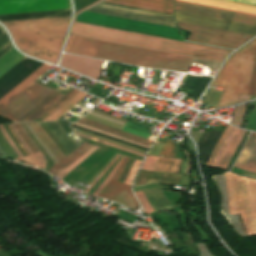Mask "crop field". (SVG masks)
<instances>
[{
    "instance_id": "crop-field-1",
    "label": "crop field",
    "mask_w": 256,
    "mask_h": 256,
    "mask_svg": "<svg viewBox=\"0 0 256 256\" xmlns=\"http://www.w3.org/2000/svg\"><path fill=\"white\" fill-rule=\"evenodd\" d=\"M65 52L126 64L186 72L192 59L146 49L69 36Z\"/></svg>"
},
{
    "instance_id": "crop-field-2",
    "label": "crop field",
    "mask_w": 256,
    "mask_h": 256,
    "mask_svg": "<svg viewBox=\"0 0 256 256\" xmlns=\"http://www.w3.org/2000/svg\"><path fill=\"white\" fill-rule=\"evenodd\" d=\"M76 18V17H75ZM72 35L191 56L222 63L232 51L75 22Z\"/></svg>"
},
{
    "instance_id": "crop-field-3",
    "label": "crop field",
    "mask_w": 256,
    "mask_h": 256,
    "mask_svg": "<svg viewBox=\"0 0 256 256\" xmlns=\"http://www.w3.org/2000/svg\"><path fill=\"white\" fill-rule=\"evenodd\" d=\"M70 17L3 23L22 52L56 64Z\"/></svg>"
},
{
    "instance_id": "crop-field-4",
    "label": "crop field",
    "mask_w": 256,
    "mask_h": 256,
    "mask_svg": "<svg viewBox=\"0 0 256 256\" xmlns=\"http://www.w3.org/2000/svg\"><path fill=\"white\" fill-rule=\"evenodd\" d=\"M256 54V39L234 53L226 62L213 86L224 88L217 108L237 104L239 94L246 95Z\"/></svg>"
},
{
    "instance_id": "crop-field-5",
    "label": "crop field",
    "mask_w": 256,
    "mask_h": 256,
    "mask_svg": "<svg viewBox=\"0 0 256 256\" xmlns=\"http://www.w3.org/2000/svg\"><path fill=\"white\" fill-rule=\"evenodd\" d=\"M230 214L240 213L248 235L256 234V181L227 173Z\"/></svg>"
},
{
    "instance_id": "crop-field-6",
    "label": "crop field",
    "mask_w": 256,
    "mask_h": 256,
    "mask_svg": "<svg viewBox=\"0 0 256 256\" xmlns=\"http://www.w3.org/2000/svg\"><path fill=\"white\" fill-rule=\"evenodd\" d=\"M177 23L181 29L193 32L188 39L189 41L200 42L220 47L236 49L253 37L252 35L229 32L179 22ZM243 35L245 36V38L243 37Z\"/></svg>"
},
{
    "instance_id": "crop-field-7",
    "label": "crop field",
    "mask_w": 256,
    "mask_h": 256,
    "mask_svg": "<svg viewBox=\"0 0 256 256\" xmlns=\"http://www.w3.org/2000/svg\"><path fill=\"white\" fill-rule=\"evenodd\" d=\"M51 92H53V90L34 82L1 108L0 115L16 122Z\"/></svg>"
},
{
    "instance_id": "crop-field-8",
    "label": "crop field",
    "mask_w": 256,
    "mask_h": 256,
    "mask_svg": "<svg viewBox=\"0 0 256 256\" xmlns=\"http://www.w3.org/2000/svg\"><path fill=\"white\" fill-rule=\"evenodd\" d=\"M88 11L99 12L109 15H115L125 18H131L146 22H152L162 25L175 27L174 17L171 15L101 2L98 5L88 9Z\"/></svg>"
},
{
    "instance_id": "crop-field-9",
    "label": "crop field",
    "mask_w": 256,
    "mask_h": 256,
    "mask_svg": "<svg viewBox=\"0 0 256 256\" xmlns=\"http://www.w3.org/2000/svg\"><path fill=\"white\" fill-rule=\"evenodd\" d=\"M126 160H127V157H125V159L119 166L118 170L116 171L112 179L109 181V184L106 187H104V189L99 193L98 197L107 198L109 200L115 201L117 203H120L126 207H129L135 210L138 208V204L130 191L129 185L137 171L140 161H137V160L135 161L134 165L132 166L124 182L125 184H129V185L116 182Z\"/></svg>"
},
{
    "instance_id": "crop-field-10",
    "label": "crop field",
    "mask_w": 256,
    "mask_h": 256,
    "mask_svg": "<svg viewBox=\"0 0 256 256\" xmlns=\"http://www.w3.org/2000/svg\"><path fill=\"white\" fill-rule=\"evenodd\" d=\"M175 10L256 25V16L174 0Z\"/></svg>"
},
{
    "instance_id": "crop-field-11",
    "label": "crop field",
    "mask_w": 256,
    "mask_h": 256,
    "mask_svg": "<svg viewBox=\"0 0 256 256\" xmlns=\"http://www.w3.org/2000/svg\"><path fill=\"white\" fill-rule=\"evenodd\" d=\"M71 8L69 0H0V14Z\"/></svg>"
},
{
    "instance_id": "crop-field-12",
    "label": "crop field",
    "mask_w": 256,
    "mask_h": 256,
    "mask_svg": "<svg viewBox=\"0 0 256 256\" xmlns=\"http://www.w3.org/2000/svg\"><path fill=\"white\" fill-rule=\"evenodd\" d=\"M82 139L92 144H95L100 148H98L95 152H93L88 158H86L81 164H79L74 170H72L66 177L62 179L70 185H74L75 183H77L92 168H94L111 150L142 160V157L109 147L107 145H104L92 140H88L85 138H82Z\"/></svg>"
},
{
    "instance_id": "crop-field-13",
    "label": "crop field",
    "mask_w": 256,
    "mask_h": 256,
    "mask_svg": "<svg viewBox=\"0 0 256 256\" xmlns=\"http://www.w3.org/2000/svg\"><path fill=\"white\" fill-rule=\"evenodd\" d=\"M176 19L179 22H185L190 24L202 25L207 27H213L218 29H224L229 31L241 32L246 34L256 35V27L230 23L210 18H204L189 14H183L176 12Z\"/></svg>"
},
{
    "instance_id": "crop-field-14",
    "label": "crop field",
    "mask_w": 256,
    "mask_h": 256,
    "mask_svg": "<svg viewBox=\"0 0 256 256\" xmlns=\"http://www.w3.org/2000/svg\"><path fill=\"white\" fill-rule=\"evenodd\" d=\"M102 62L101 60L65 54L60 65L98 80Z\"/></svg>"
},
{
    "instance_id": "crop-field-15",
    "label": "crop field",
    "mask_w": 256,
    "mask_h": 256,
    "mask_svg": "<svg viewBox=\"0 0 256 256\" xmlns=\"http://www.w3.org/2000/svg\"><path fill=\"white\" fill-rule=\"evenodd\" d=\"M234 167L256 173V134L251 133L241 150Z\"/></svg>"
},
{
    "instance_id": "crop-field-16",
    "label": "crop field",
    "mask_w": 256,
    "mask_h": 256,
    "mask_svg": "<svg viewBox=\"0 0 256 256\" xmlns=\"http://www.w3.org/2000/svg\"><path fill=\"white\" fill-rule=\"evenodd\" d=\"M105 1L173 14L172 0H105Z\"/></svg>"
},
{
    "instance_id": "crop-field-17",
    "label": "crop field",
    "mask_w": 256,
    "mask_h": 256,
    "mask_svg": "<svg viewBox=\"0 0 256 256\" xmlns=\"http://www.w3.org/2000/svg\"><path fill=\"white\" fill-rule=\"evenodd\" d=\"M14 133L16 134V136L19 138V140L21 141V143L24 145V147L26 148V150L29 152L30 156L28 157H23L22 154L20 153V151L18 150V148L15 146V144L12 142V140L10 139V137L8 136V134L6 133L3 125L0 126V130L3 134V136L5 137V139L7 140V142L10 144V146L15 150V152L17 153L19 160L21 161H25L28 162L30 164L42 167L45 169V159L42 155V153L39 151L35 154H32L31 151L29 150V148L27 147V145L25 144L24 140L22 139V137L20 136V134L18 133L17 129L15 128V126L13 124H10Z\"/></svg>"
},
{
    "instance_id": "crop-field-18",
    "label": "crop field",
    "mask_w": 256,
    "mask_h": 256,
    "mask_svg": "<svg viewBox=\"0 0 256 256\" xmlns=\"http://www.w3.org/2000/svg\"><path fill=\"white\" fill-rule=\"evenodd\" d=\"M71 9L0 15V21L70 16Z\"/></svg>"
},
{
    "instance_id": "crop-field-19",
    "label": "crop field",
    "mask_w": 256,
    "mask_h": 256,
    "mask_svg": "<svg viewBox=\"0 0 256 256\" xmlns=\"http://www.w3.org/2000/svg\"><path fill=\"white\" fill-rule=\"evenodd\" d=\"M50 68L51 66L45 64L40 66L36 71H34L30 76H28L24 81H22L18 86H16L0 100V108L8 103L11 99H13L16 95H18L21 91H23L26 87H28L31 83L37 80L39 75L41 76Z\"/></svg>"
},
{
    "instance_id": "crop-field-20",
    "label": "crop field",
    "mask_w": 256,
    "mask_h": 256,
    "mask_svg": "<svg viewBox=\"0 0 256 256\" xmlns=\"http://www.w3.org/2000/svg\"><path fill=\"white\" fill-rule=\"evenodd\" d=\"M64 95L54 91L42 102H40L36 107H34L30 112L23 116L19 121H34L46 110H48L52 105L59 101Z\"/></svg>"
},
{
    "instance_id": "crop-field-21",
    "label": "crop field",
    "mask_w": 256,
    "mask_h": 256,
    "mask_svg": "<svg viewBox=\"0 0 256 256\" xmlns=\"http://www.w3.org/2000/svg\"><path fill=\"white\" fill-rule=\"evenodd\" d=\"M181 1L192 2V3L256 15V7H250V6L240 5V4H234V3L223 2L218 0H181Z\"/></svg>"
},
{
    "instance_id": "crop-field-22",
    "label": "crop field",
    "mask_w": 256,
    "mask_h": 256,
    "mask_svg": "<svg viewBox=\"0 0 256 256\" xmlns=\"http://www.w3.org/2000/svg\"><path fill=\"white\" fill-rule=\"evenodd\" d=\"M91 147L92 145L84 143L83 145L75 149L72 153L67 155L64 159H62L57 164H55L47 172L56 176L58 173H60L63 169H65L67 166L73 163L76 159H78L83 153H85Z\"/></svg>"
},
{
    "instance_id": "crop-field-23",
    "label": "crop field",
    "mask_w": 256,
    "mask_h": 256,
    "mask_svg": "<svg viewBox=\"0 0 256 256\" xmlns=\"http://www.w3.org/2000/svg\"><path fill=\"white\" fill-rule=\"evenodd\" d=\"M205 135H206V132H204V134L201 137V139L199 140L197 146L199 148L200 155L203 159V162L206 163V161L209 158L210 154L212 153L214 147L216 146L218 140L220 139L222 133L216 132V131L208 132L207 136L205 137L204 141L202 142L201 146L199 147V145Z\"/></svg>"
},
{
    "instance_id": "crop-field-24",
    "label": "crop field",
    "mask_w": 256,
    "mask_h": 256,
    "mask_svg": "<svg viewBox=\"0 0 256 256\" xmlns=\"http://www.w3.org/2000/svg\"><path fill=\"white\" fill-rule=\"evenodd\" d=\"M46 125L69 153L78 147L58 121L47 122Z\"/></svg>"
},
{
    "instance_id": "crop-field-25",
    "label": "crop field",
    "mask_w": 256,
    "mask_h": 256,
    "mask_svg": "<svg viewBox=\"0 0 256 256\" xmlns=\"http://www.w3.org/2000/svg\"><path fill=\"white\" fill-rule=\"evenodd\" d=\"M245 131L238 130L230 141L228 147L226 148L222 158L220 159L217 168L226 170L235 150L237 149Z\"/></svg>"
},
{
    "instance_id": "crop-field-26",
    "label": "crop field",
    "mask_w": 256,
    "mask_h": 256,
    "mask_svg": "<svg viewBox=\"0 0 256 256\" xmlns=\"http://www.w3.org/2000/svg\"><path fill=\"white\" fill-rule=\"evenodd\" d=\"M211 78L207 77H192L188 76L182 87L184 88H189L194 90L191 95L193 96L194 100H197V98L200 96L208 82L210 81Z\"/></svg>"
},
{
    "instance_id": "crop-field-27",
    "label": "crop field",
    "mask_w": 256,
    "mask_h": 256,
    "mask_svg": "<svg viewBox=\"0 0 256 256\" xmlns=\"http://www.w3.org/2000/svg\"><path fill=\"white\" fill-rule=\"evenodd\" d=\"M87 94L79 91L72 98H70L67 102H65L61 107H59L56 111H54L51 115H49L43 121H52L57 120L63 114H65L69 109H71L79 100L84 98Z\"/></svg>"
},
{
    "instance_id": "crop-field-28",
    "label": "crop field",
    "mask_w": 256,
    "mask_h": 256,
    "mask_svg": "<svg viewBox=\"0 0 256 256\" xmlns=\"http://www.w3.org/2000/svg\"><path fill=\"white\" fill-rule=\"evenodd\" d=\"M78 122H81V123L93 126L95 128H98V129H101V130H104V131H107V132H110V133H113V134H116V135H119V136H122V137H125V138H128L130 140H133V141H136V142L148 145V146L151 144V141H148V140L136 137V136H132V135H129V134H126V133H123V132L111 129L109 127L100 125L98 123L89 121V120L84 119V118L80 119Z\"/></svg>"
},
{
    "instance_id": "crop-field-29",
    "label": "crop field",
    "mask_w": 256,
    "mask_h": 256,
    "mask_svg": "<svg viewBox=\"0 0 256 256\" xmlns=\"http://www.w3.org/2000/svg\"><path fill=\"white\" fill-rule=\"evenodd\" d=\"M172 161L173 159L160 157L153 171L178 174L182 160L174 159L169 172Z\"/></svg>"
},
{
    "instance_id": "crop-field-30",
    "label": "crop field",
    "mask_w": 256,
    "mask_h": 256,
    "mask_svg": "<svg viewBox=\"0 0 256 256\" xmlns=\"http://www.w3.org/2000/svg\"><path fill=\"white\" fill-rule=\"evenodd\" d=\"M97 147H92L90 150H88L84 155H82L77 161H75L71 166H69L67 169H65L63 172H61L57 177L63 178L66 176L72 169H74L79 163H81L86 157H88L94 150H96Z\"/></svg>"
},
{
    "instance_id": "crop-field-31",
    "label": "crop field",
    "mask_w": 256,
    "mask_h": 256,
    "mask_svg": "<svg viewBox=\"0 0 256 256\" xmlns=\"http://www.w3.org/2000/svg\"><path fill=\"white\" fill-rule=\"evenodd\" d=\"M230 129H231V126L228 125V126L226 127V129H225V131H224V133H223L221 139L219 140L217 146L215 147L213 153L211 154V156H210V158H209V160L207 161L206 164H208V165H210V166L212 165V163H213V161H214V159H215V157H216V155H217V153H218L220 147L222 146V144H223L225 138L227 137V135H228Z\"/></svg>"
},
{
    "instance_id": "crop-field-32",
    "label": "crop field",
    "mask_w": 256,
    "mask_h": 256,
    "mask_svg": "<svg viewBox=\"0 0 256 256\" xmlns=\"http://www.w3.org/2000/svg\"><path fill=\"white\" fill-rule=\"evenodd\" d=\"M78 90L71 91L68 95H66L63 99H61L58 103H56L52 108H50L47 112H45L42 116H40L35 121H42L45 119L49 114H51L54 110H56L60 105H62L65 101H67L70 97H72Z\"/></svg>"
},
{
    "instance_id": "crop-field-33",
    "label": "crop field",
    "mask_w": 256,
    "mask_h": 256,
    "mask_svg": "<svg viewBox=\"0 0 256 256\" xmlns=\"http://www.w3.org/2000/svg\"><path fill=\"white\" fill-rule=\"evenodd\" d=\"M16 128L18 129L19 133L21 134V136L23 137V139L25 140V142L28 144V146L30 147V149L34 152L38 151L39 149L37 148V146L33 143V141L30 139V137L27 135V133L25 132L22 124H18L15 125Z\"/></svg>"
},
{
    "instance_id": "crop-field-34",
    "label": "crop field",
    "mask_w": 256,
    "mask_h": 256,
    "mask_svg": "<svg viewBox=\"0 0 256 256\" xmlns=\"http://www.w3.org/2000/svg\"><path fill=\"white\" fill-rule=\"evenodd\" d=\"M245 105L237 106L235 110V115L233 119L231 120V124L236 125V126H241L244 110H245Z\"/></svg>"
},
{
    "instance_id": "crop-field-35",
    "label": "crop field",
    "mask_w": 256,
    "mask_h": 256,
    "mask_svg": "<svg viewBox=\"0 0 256 256\" xmlns=\"http://www.w3.org/2000/svg\"><path fill=\"white\" fill-rule=\"evenodd\" d=\"M175 143L167 141L165 146L162 148L159 156L174 157Z\"/></svg>"
},
{
    "instance_id": "crop-field-36",
    "label": "crop field",
    "mask_w": 256,
    "mask_h": 256,
    "mask_svg": "<svg viewBox=\"0 0 256 256\" xmlns=\"http://www.w3.org/2000/svg\"><path fill=\"white\" fill-rule=\"evenodd\" d=\"M135 195L137 196L146 215L155 211L150 207V205L148 204L149 202L147 203L142 191L135 192Z\"/></svg>"
},
{
    "instance_id": "crop-field-37",
    "label": "crop field",
    "mask_w": 256,
    "mask_h": 256,
    "mask_svg": "<svg viewBox=\"0 0 256 256\" xmlns=\"http://www.w3.org/2000/svg\"><path fill=\"white\" fill-rule=\"evenodd\" d=\"M247 95L256 96V58Z\"/></svg>"
},
{
    "instance_id": "crop-field-38",
    "label": "crop field",
    "mask_w": 256,
    "mask_h": 256,
    "mask_svg": "<svg viewBox=\"0 0 256 256\" xmlns=\"http://www.w3.org/2000/svg\"><path fill=\"white\" fill-rule=\"evenodd\" d=\"M235 131H236V128L232 127V129H231V131H230L228 137L226 138V140H225L223 146L221 147V149H220V151H219V153H218V155H217V157H216V159H215V161H214L212 167H216V165H217V163H218L220 157L222 156V154H223L225 148L227 147V145H228L229 141L231 140L232 136L234 135Z\"/></svg>"
},
{
    "instance_id": "crop-field-39",
    "label": "crop field",
    "mask_w": 256,
    "mask_h": 256,
    "mask_svg": "<svg viewBox=\"0 0 256 256\" xmlns=\"http://www.w3.org/2000/svg\"><path fill=\"white\" fill-rule=\"evenodd\" d=\"M12 44L7 36V34L5 36H3L0 39V57L6 53L10 48H12Z\"/></svg>"
},
{
    "instance_id": "crop-field-40",
    "label": "crop field",
    "mask_w": 256,
    "mask_h": 256,
    "mask_svg": "<svg viewBox=\"0 0 256 256\" xmlns=\"http://www.w3.org/2000/svg\"><path fill=\"white\" fill-rule=\"evenodd\" d=\"M73 124L78 125V126L83 127V128H86V129H90V130H93V131H96V132H99V133H103V134H106V135H109V136H112V137H115V138H119V139H122V140H125V141H128V142H131V143H134V144H137V145H141V146H144V147L148 148V146H145V145H142V144L130 141L128 139H125V138H122V137H119V136H116V135H113V134H110V133H107V132H104V131L92 128L90 126H87V125H84V124H81V123H78V122H74Z\"/></svg>"
},
{
    "instance_id": "crop-field-41",
    "label": "crop field",
    "mask_w": 256,
    "mask_h": 256,
    "mask_svg": "<svg viewBox=\"0 0 256 256\" xmlns=\"http://www.w3.org/2000/svg\"><path fill=\"white\" fill-rule=\"evenodd\" d=\"M36 127L40 130V132L45 136V138L49 141V143L52 145V147L55 149V151L58 153V155L61 157H65L63 153L59 150V148L56 146V144L52 141V139L43 131V129L40 127L39 123H34Z\"/></svg>"
},
{
    "instance_id": "crop-field-42",
    "label": "crop field",
    "mask_w": 256,
    "mask_h": 256,
    "mask_svg": "<svg viewBox=\"0 0 256 256\" xmlns=\"http://www.w3.org/2000/svg\"><path fill=\"white\" fill-rule=\"evenodd\" d=\"M159 157H150V156H147L142 168L143 169H147V170H153L157 160H158ZM142 169V170H143Z\"/></svg>"
},
{
    "instance_id": "crop-field-43",
    "label": "crop field",
    "mask_w": 256,
    "mask_h": 256,
    "mask_svg": "<svg viewBox=\"0 0 256 256\" xmlns=\"http://www.w3.org/2000/svg\"><path fill=\"white\" fill-rule=\"evenodd\" d=\"M29 125L32 127V129L38 134V136L44 141V143L47 145V147L50 149V151L53 153V155L57 158V160H61L60 157L57 155V153L54 151V149L51 147V145L46 141V139L40 134V132L37 130V128L34 126L33 123H29Z\"/></svg>"
},
{
    "instance_id": "crop-field-44",
    "label": "crop field",
    "mask_w": 256,
    "mask_h": 256,
    "mask_svg": "<svg viewBox=\"0 0 256 256\" xmlns=\"http://www.w3.org/2000/svg\"><path fill=\"white\" fill-rule=\"evenodd\" d=\"M123 158L120 160V162L117 164V166L114 168V170L111 172V174L108 176V178L101 184V186L95 191V193L93 194L94 196H97L98 193L101 191V189L108 183V181L111 179L113 173L115 172V170L117 169V167L119 166V164L122 162Z\"/></svg>"
},
{
    "instance_id": "crop-field-45",
    "label": "crop field",
    "mask_w": 256,
    "mask_h": 256,
    "mask_svg": "<svg viewBox=\"0 0 256 256\" xmlns=\"http://www.w3.org/2000/svg\"><path fill=\"white\" fill-rule=\"evenodd\" d=\"M247 129L256 131V101H255V104H254V109H253L251 121H250V124H249Z\"/></svg>"
},
{
    "instance_id": "crop-field-46",
    "label": "crop field",
    "mask_w": 256,
    "mask_h": 256,
    "mask_svg": "<svg viewBox=\"0 0 256 256\" xmlns=\"http://www.w3.org/2000/svg\"><path fill=\"white\" fill-rule=\"evenodd\" d=\"M76 134L79 135V136H83V137H86V138H89V139H93V140H96V141H99V142H102V143H105V144H108V145H111V146H114V147H117V148L129 151V152L135 153V152L130 151V150L126 149V148H123V147H120V146H117V145H114V144H111V143H108V142H105V141H102V140H99V139H96V138H93V137H89V136H86V135H83V134H79V133H76ZM135 154L140 155L142 157L144 156V155L138 154V153H135Z\"/></svg>"
},
{
    "instance_id": "crop-field-47",
    "label": "crop field",
    "mask_w": 256,
    "mask_h": 256,
    "mask_svg": "<svg viewBox=\"0 0 256 256\" xmlns=\"http://www.w3.org/2000/svg\"><path fill=\"white\" fill-rule=\"evenodd\" d=\"M120 156V154H118V156L105 168V170L92 182V184L85 190V192L87 193L89 191V189L96 183V181L103 175V173L112 165V163Z\"/></svg>"
},
{
    "instance_id": "crop-field-48",
    "label": "crop field",
    "mask_w": 256,
    "mask_h": 256,
    "mask_svg": "<svg viewBox=\"0 0 256 256\" xmlns=\"http://www.w3.org/2000/svg\"><path fill=\"white\" fill-rule=\"evenodd\" d=\"M227 1L256 6V0H227Z\"/></svg>"
},
{
    "instance_id": "crop-field-49",
    "label": "crop field",
    "mask_w": 256,
    "mask_h": 256,
    "mask_svg": "<svg viewBox=\"0 0 256 256\" xmlns=\"http://www.w3.org/2000/svg\"><path fill=\"white\" fill-rule=\"evenodd\" d=\"M8 127H9V129H10V131H11V133H12V135L14 136V138H15V140H16V142H17V144L20 146V148L23 150V152L25 153V155L27 156L28 155V153L24 150V148L20 145V143H19V141H18V139H17V137L15 136V134L13 133V131H12V129H11V127H10V125H8Z\"/></svg>"
},
{
    "instance_id": "crop-field-50",
    "label": "crop field",
    "mask_w": 256,
    "mask_h": 256,
    "mask_svg": "<svg viewBox=\"0 0 256 256\" xmlns=\"http://www.w3.org/2000/svg\"><path fill=\"white\" fill-rule=\"evenodd\" d=\"M187 160H183L182 169L180 174H184Z\"/></svg>"
},
{
    "instance_id": "crop-field-51",
    "label": "crop field",
    "mask_w": 256,
    "mask_h": 256,
    "mask_svg": "<svg viewBox=\"0 0 256 256\" xmlns=\"http://www.w3.org/2000/svg\"><path fill=\"white\" fill-rule=\"evenodd\" d=\"M249 97L250 96H241L239 102L247 101L249 99Z\"/></svg>"
},
{
    "instance_id": "crop-field-52",
    "label": "crop field",
    "mask_w": 256,
    "mask_h": 256,
    "mask_svg": "<svg viewBox=\"0 0 256 256\" xmlns=\"http://www.w3.org/2000/svg\"><path fill=\"white\" fill-rule=\"evenodd\" d=\"M6 32L3 30V28L0 26V38L5 35Z\"/></svg>"
},
{
    "instance_id": "crop-field-53",
    "label": "crop field",
    "mask_w": 256,
    "mask_h": 256,
    "mask_svg": "<svg viewBox=\"0 0 256 256\" xmlns=\"http://www.w3.org/2000/svg\"><path fill=\"white\" fill-rule=\"evenodd\" d=\"M0 155L8 158L7 155L5 154V152L3 151V149L1 148V146H0Z\"/></svg>"
},
{
    "instance_id": "crop-field-54",
    "label": "crop field",
    "mask_w": 256,
    "mask_h": 256,
    "mask_svg": "<svg viewBox=\"0 0 256 256\" xmlns=\"http://www.w3.org/2000/svg\"><path fill=\"white\" fill-rule=\"evenodd\" d=\"M100 101H101L100 99L96 98L92 103L96 105V104L99 103Z\"/></svg>"
},
{
    "instance_id": "crop-field-55",
    "label": "crop field",
    "mask_w": 256,
    "mask_h": 256,
    "mask_svg": "<svg viewBox=\"0 0 256 256\" xmlns=\"http://www.w3.org/2000/svg\"><path fill=\"white\" fill-rule=\"evenodd\" d=\"M110 64H111V63L109 62V63H108V66H107V68H106L107 70L109 69Z\"/></svg>"
},
{
    "instance_id": "crop-field-56",
    "label": "crop field",
    "mask_w": 256,
    "mask_h": 256,
    "mask_svg": "<svg viewBox=\"0 0 256 256\" xmlns=\"http://www.w3.org/2000/svg\"><path fill=\"white\" fill-rule=\"evenodd\" d=\"M117 108H120V109H122V106H119V105H117Z\"/></svg>"
},
{
    "instance_id": "crop-field-57",
    "label": "crop field",
    "mask_w": 256,
    "mask_h": 256,
    "mask_svg": "<svg viewBox=\"0 0 256 256\" xmlns=\"http://www.w3.org/2000/svg\"><path fill=\"white\" fill-rule=\"evenodd\" d=\"M210 90V89H209ZM209 92V91H208ZM208 94V93H207ZM207 96V95H206Z\"/></svg>"
}]
</instances>
